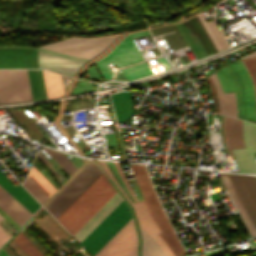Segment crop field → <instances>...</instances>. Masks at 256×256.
I'll return each mask as SVG.
<instances>
[{"label":"crop field","instance_id":"crop-field-19","mask_svg":"<svg viewBox=\"0 0 256 256\" xmlns=\"http://www.w3.org/2000/svg\"><path fill=\"white\" fill-rule=\"evenodd\" d=\"M140 232L142 235V256H166L160 245L141 226Z\"/></svg>","mask_w":256,"mask_h":256},{"label":"crop field","instance_id":"crop-field-36","mask_svg":"<svg viewBox=\"0 0 256 256\" xmlns=\"http://www.w3.org/2000/svg\"><path fill=\"white\" fill-rule=\"evenodd\" d=\"M253 55H255L254 52L250 53V54L247 55V56H253ZM247 56H244V57H247Z\"/></svg>","mask_w":256,"mask_h":256},{"label":"crop field","instance_id":"crop-field-30","mask_svg":"<svg viewBox=\"0 0 256 256\" xmlns=\"http://www.w3.org/2000/svg\"><path fill=\"white\" fill-rule=\"evenodd\" d=\"M38 51L44 52V53H48V54H52V55H57V56L65 57V58H70V59H74V60H78V61H82V62H86L85 60L73 58V57H70V56L58 54V53H55V52H51V51H47V50H43V49H39V48H38Z\"/></svg>","mask_w":256,"mask_h":256},{"label":"crop field","instance_id":"crop-field-14","mask_svg":"<svg viewBox=\"0 0 256 256\" xmlns=\"http://www.w3.org/2000/svg\"><path fill=\"white\" fill-rule=\"evenodd\" d=\"M39 68L55 71L58 73L73 75L83 64L82 62L65 59L38 52Z\"/></svg>","mask_w":256,"mask_h":256},{"label":"crop field","instance_id":"crop-field-8","mask_svg":"<svg viewBox=\"0 0 256 256\" xmlns=\"http://www.w3.org/2000/svg\"><path fill=\"white\" fill-rule=\"evenodd\" d=\"M130 167L133 172V175L136 178L137 184L140 188V191H141L142 196L145 200V203L148 207V210L162 232L159 235L167 243V245L169 246V248L171 249V251L173 252V254L175 256H181V253H180L177 245L175 244L171 234L169 233L168 229L166 228V226H165V224H164V222L154 204V201L149 192L148 186L146 184V181H145V178L143 176L140 166L130 164Z\"/></svg>","mask_w":256,"mask_h":256},{"label":"crop field","instance_id":"crop-field-11","mask_svg":"<svg viewBox=\"0 0 256 256\" xmlns=\"http://www.w3.org/2000/svg\"><path fill=\"white\" fill-rule=\"evenodd\" d=\"M0 68H38L37 48L0 49Z\"/></svg>","mask_w":256,"mask_h":256},{"label":"crop field","instance_id":"crop-field-34","mask_svg":"<svg viewBox=\"0 0 256 256\" xmlns=\"http://www.w3.org/2000/svg\"><path fill=\"white\" fill-rule=\"evenodd\" d=\"M48 167H49V169L52 171V172H54L56 175H57V173L50 167V166H52L46 159H45V157L38 151V153L36 154ZM58 176V175H57Z\"/></svg>","mask_w":256,"mask_h":256},{"label":"crop field","instance_id":"crop-field-25","mask_svg":"<svg viewBox=\"0 0 256 256\" xmlns=\"http://www.w3.org/2000/svg\"><path fill=\"white\" fill-rule=\"evenodd\" d=\"M13 240L29 256H44L21 232Z\"/></svg>","mask_w":256,"mask_h":256},{"label":"crop field","instance_id":"crop-field-24","mask_svg":"<svg viewBox=\"0 0 256 256\" xmlns=\"http://www.w3.org/2000/svg\"><path fill=\"white\" fill-rule=\"evenodd\" d=\"M28 129V131L39 141V139L44 135L37 126L26 117L20 110H10Z\"/></svg>","mask_w":256,"mask_h":256},{"label":"crop field","instance_id":"crop-field-32","mask_svg":"<svg viewBox=\"0 0 256 256\" xmlns=\"http://www.w3.org/2000/svg\"><path fill=\"white\" fill-rule=\"evenodd\" d=\"M28 176L50 197L51 194L40 184V182L31 173H29Z\"/></svg>","mask_w":256,"mask_h":256},{"label":"crop field","instance_id":"crop-field-16","mask_svg":"<svg viewBox=\"0 0 256 256\" xmlns=\"http://www.w3.org/2000/svg\"><path fill=\"white\" fill-rule=\"evenodd\" d=\"M0 208L20 226L32 215L1 187Z\"/></svg>","mask_w":256,"mask_h":256},{"label":"crop field","instance_id":"crop-field-35","mask_svg":"<svg viewBox=\"0 0 256 256\" xmlns=\"http://www.w3.org/2000/svg\"><path fill=\"white\" fill-rule=\"evenodd\" d=\"M0 256H8L3 250L0 252Z\"/></svg>","mask_w":256,"mask_h":256},{"label":"crop field","instance_id":"crop-field-27","mask_svg":"<svg viewBox=\"0 0 256 256\" xmlns=\"http://www.w3.org/2000/svg\"><path fill=\"white\" fill-rule=\"evenodd\" d=\"M242 61L251 75V79L256 90V56L252 58L242 59Z\"/></svg>","mask_w":256,"mask_h":256},{"label":"crop field","instance_id":"crop-field-26","mask_svg":"<svg viewBox=\"0 0 256 256\" xmlns=\"http://www.w3.org/2000/svg\"><path fill=\"white\" fill-rule=\"evenodd\" d=\"M23 186L43 204L49 197L29 178L27 177Z\"/></svg>","mask_w":256,"mask_h":256},{"label":"crop field","instance_id":"crop-field-22","mask_svg":"<svg viewBox=\"0 0 256 256\" xmlns=\"http://www.w3.org/2000/svg\"><path fill=\"white\" fill-rule=\"evenodd\" d=\"M228 128L231 148L243 146L240 134V121L229 118Z\"/></svg>","mask_w":256,"mask_h":256},{"label":"crop field","instance_id":"crop-field-6","mask_svg":"<svg viewBox=\"0 0 256 256\" xmlns=\"http://www.w3.org/2000/svg\"><path fill=\"white\" fill-rule=\"evenodd\" d=\"M143 60L130 34L107 56L94 63L103 80L110 79L111 70L107 63H113V68H118L130 63Z\"/></svg>","mask_w":256,"mask_h":256},{"label":"crop field","instance_id":"crop-field-5","mask_svg":"<svg viewBox=\"0 0 256 256\" xmlns=\"http://www.w3.org/2000/svg\"><path fill=\"white\" fill-rule=\"evenodd\" d=\"M32 100L26 70H0V103Z\"/></svg>","mask_w":256,"mask_h":256},{"label":"crop field","instance_id":"crop-field-18","mask_svg":"<svg viewBox=\"0 0 256 256\" xmlns=\"http://www.w3.org/2000/svg\"><path fill=\"white\" fill-rule=\"evenodd\" d=\"M219 175H220V177H221V179H222V181H223V183H224L228 193L229 194L230 193H234L235 190H234V188L232 186V183H231L228 175L225 174V173H219ZM230 197H231L233 203L235 204L237 210L239 211V213H240V215H241L245 225L247 226V228L249 229L250 233L252 234V236L256 235V229H255L253 223L251 222V220H250V218H249V216H248L244 206L242 205V203H241L237 193L231 194Z\"/></svg>","mask_w":256,"mask_h":256},{"label":"crop field","instance_id":"crop-field-29","mask_svg":"<svg viewBox=\"0 0 256 256\" xmlns=\"http://www.w3.org/2000/svg\"><path fill=\"white\" fill-rule=\"evenodd\" d=\"M198 17H199L201 23L203 24V26H204V28H205L207 34L209 35V37H210L212 43L214 44L216 50H217L218 52L221 51V48H220L219 44L217 43L216 39L214 38L212 32L210 31V29H209L208 25L206 24L205 20L203 19L201 13L198 14Z\"/></svg>","mask_w":256,"mask_h":256},{"label":"crop field","instance_id":"crop-field-20","mask_svg":"<svg viewBox=\"0 0 256 256\" xmlns=\"http://www.w3.org/2000/svg\"><path fill=\"white\" fill-rule=\"evenodd\" d=\"M27 72H28L33 100L43 99L38 70H27ZM41 78H42V73H41ZM42 84H43V79H42ZM43 90H44V87H43Z\"/></svg>","mask_w":256,"mask_h":256},{"label":"crop field","instance_id":"crop-field-12","mask_svg":"<svg viewBox=\"0 0 256 256\" xmlns=\"http://www.w3.org/2000/svg\"><path fill=\"white\" fill-rule=\"evenodd\" d=\"M228 175L256 227V177Z\"/></svg>","mask_w":256,"mask_h":256},{"label":"crop field","instance_id":"crop-field-33","mask_svg":"<svg viewBox=\"0 0 256 256\" xmlns=\"http://www.w3.org/2000/svg\"><path fill=\"white\" fill-rule=\"evenodd\" d=\"M5 220L3 217L0 216V222ZM9 238L0 231V247L8 240Z\"/></svg>","mask_w":256,"mask_h":256},{"label":"crop field","instance_id":"crop-field-13","mask_svg":"<svg viewBox=\"0 0 256 256\" xmlns=\"http://www.w3.org/2000/svg\"><path fill=\"white\" fill-rule=\"evenodd\" d=\"M213 98L215 112L237 117L234 92L222 93L220 82L215 72L206 77Z\"/></svg>","mask_w":256,"mask_h":256},{"label":"crop field","instance_id":"crop-field-4","mask_svg":"<svg viewBox=\"0 0 256 256\" xmlns=\"http://www.w3.org/2000/svg\"><path fill=\"white\" fill-rule=\"evenodd\" d=\"M116 38L117 36L94 39L70 38L40 48L90 60L108 47Z\"/></svg>","mask_w":256,"mask_h":256},{"label":"crop field","instance_id":"crop-field-2","mask_svg":"<svg viewBox=\"0 0 256 256\" xmlns=\"http://www.w3.org/2000/svg\"><path fill=\"white\" fill-rule=\"evenodd\" d=\"M223 92L235 91L238 117L256 122L255 93L241 60L226 64L216 72Z\"/></svg>","mask_w":256,"mask_h":256},{"label":"crop field","instance_id":"crop-field-9","mask_svg":"<svg viewBox=\"0 0 256 256\" xmlns=\"http://www.w3.org/2000/svg\"><path fill=\"white\" fill-rule=\"evenodd\" d=\"M244 144L246 148L231 150L239 171L256 173V125L243 121L242 124Z\"/></svg>","mask_w":256,"mask_h":256},{"label":"crop field","instance_id":"crop-field-1","mask_svg":"<svg viewBox=\"0 0 256 256\" xmlns=\"http://www.w3.org/2000/svg\"><path fill=\"white\" fill-rule=\"evenodd\" d=\"M115 192L102 173L57 220L73 236Z\"/></svg>","mask_w":256,"mask_h":256},{"label":"crop field","instance_id":"crop-field-3","mask_svg":"<svg viewBox=\"0 0 256 256\" xmlns=\"http://www.w3.org/2000/svg\"><path fill=\"white\" fill-rule=\"evenodd\" d=\"M101 173L88 163L44 208L57 219Z\"/></svg>","mask_w":256,"mask_h":256},{"label":"crop field","instance_id":"crop-field-21","mask_svg":"<svg viewBox=\"0 0 256 256\" xmlns=\"http://www.w3.org/2000/svg\"><path fill=\"white\" fill-rule=\"evenodd\" d=\"M140 166H141V168H142V171H143V173H144V176H145V178H146V181H147V183H148V186H149V188H150V191H151V193H152V195H153V197H154V199H155V201H156V206H157V208H158V210H159V212H160V214H161L163 220L165 221V223H166V225H167L169 231L171 232V234H172V236H173V238H174L176 244L178 245V247H179V249H180L182 255H185V252H184V250H183L181 244L179 243V241H178V239H177V237H176V235H175V233H174V231H173V229H172V227H171V225H170V223H169V221H168V219H167V217H166V215H165V213H164V211H163L161 205L159 204V202H158V200H157V198H156V195H155V193H154V191H153V189H152V186H151V183H150V180H149V176H148L146 167H145V166H142V165H140ZM147 183H146V184H147Z\"/></svg>","mask_w":256,"mask_h":256},{"label":"crop field","instance_id":"crop-field-17","mask_svg":"<svg viewBox=\"0 0 256 256\" xmlns=\"http://www.w3.org/2000/svg\"><path fill=\"white\" fill-rule=\"evenodd\" d=\"M168 67L166 63L150 68L146 63L137 64L133 67L125 68L118 70L115 73L116 79L122 80H133L135 78L151 75L163 70H166Z\"/></svg>","mask_w":256,"mask_h":256},{"label":"crop field","instance_id":"crop-field-28","mask_svg":"<svg viewBox=\"0 0 256 256\" xmlns=\"http://www.w3.org/2000/svg\"><path fill=\"white\" fill-rule=\"evenodd\" d=\"M42 73L45 81L47 98L56 97L51 73L44 71H42Z\"/></svg>","mask_w":256,"mask_h":256},{"label":"crop field","instance_id":"crop-field-7","mask_svg":"<svg viewBox=\"0 0 256 256\" xmlns=\"http://www.w3.org/2000/svg\"><path fill=\"white\" fill-rule=\"evenodd\" d=\"M94 256H137L133 219L112 237Z\"/></svg>","mask_w":256,"mask_h":256},{"label":"crop field","instance_id":"crop-field-23","mask_svg":"<svg viewBox=\"0 0 256 256\" xmlns=\"http://www.w3.org/2000/svg\"><path fill=\"white\" fill-rule=\"evenodd\" d=\"M50 156L63 168V170L71 176L73 172L77 169L63 153L55 152L49 148L43 147Z\"/></svg>","mask_w":256,"mask_h":256},{"label":"crop field","instance_id":"crop-field-15","mask_svg":"<svg viewBox=\"0 0 256 256\" xmlns=\"http://www.w3.org/2000/svg\"><path fill=\"white\" fill-rule=\"evenodd\" d=\"M122 200L116 192L73 237L80 243Z\"/></svg>","mask_w":256,"mask_h":256},{"label":"crop field","instance_id":"crop-field-31","mask_svg":"<svg viewBox=\"0 0 256 256\" xmlns=\"http://www.w3.org/2000/svg\"><path fill=\"white\" fill-rule=\"evenodd\" d=\"M221 130H222L224 150H225L226 156L228 157L229 154H228V151H227V148H226L225 135H224V116H222V115H221Z\"/></svg>","mask_w":256,"mask_h":256},{"label":"crop field","instance_id":"crop-field-10","mask_svg":"<svg viewBox=\"0 0 256 256\" xmlns=\"http://www.w3.org/2000/svg\"><path fill=\"white\" fill-rule=\"evenodd\" d=\"M102 163L103 167L105 168V170L107 171V173L109 174V176L111 177V179L113 180L114 184L116 185V187L119 189V191L121 192L120 188L118 187V185L116 184L115 180L113 179V177L111 176V174L109 173L107 167L105 166L104 162H100ZM118 173L120 174L122 180L124 181L125 185L127 186V188L129 189V191L131 192L132 196L134 197V199L136 200L137 203L133 204V207L135 209V213L137 216V219L139 221V223L155 238V240L161 245V247L163 248V250L166 252V254L168 256H174L172 254V252L170 251V249L168 248V246L166 245V243L161 239V237L157 234L160 232L159 228L157 227L156 223L154 222V220L152 219V217L150 216L146 205L144 202H138L133 191L131 190L125 176L124 173L119 165V163H115L113 162ZM122 193V192H121ZM123 194V193H122ZM123 196L125 197V195L123 194ZM126 198V197H125ZM127 199V198H126ZM127 201L130 203V201L127 199Z\"/></svg>","mask_w":256,"mask_h":256}]
</instances>
